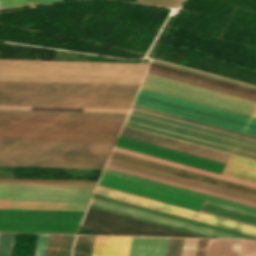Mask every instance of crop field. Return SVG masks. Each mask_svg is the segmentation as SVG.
<instances>
[{
  "instance_id": "obj_11",
  "label": "crop field",
  "mask_w": 256,
  "mask_h": 256,
  "mask_svg": "<svg viewBox=\"0 0 256 256\" xmlns=\"http://www.w3.org/2000/svg\"><path fill=\"white\" fill-rule=\"evenodd\" d=\"M110 158L256 197V189L244 185L228 182L225 180L209 177L206 175L190 172L187 170L171 167L114 151L112 152Z\"/></svg>"
},
{
  "instance_id": "obj_21",
  "label": "crop field",
  "mask_w": 256,
  "mask_h": 256,
  "mask_svg": "<svg viewBox=\"0 0 256 256\" xmlns=\"http://www.w3.org/2000/svg\"><path fill=\"white\" fill-rule=\"evenodd\" d=\"M132 107H133V108H137V109H141V110H145V111H149V112H152V113H156V114H160V115L168 116V117H171V118H175V119L183 120V121H186V122H190V123H194V124L202 125V126H205V127H209V128H213V129L221 130V131H224V132H228V133H232V134L240 135V136H243V137H247V138H251V139H255V140H256V137H252V136L244 135V134L237 133V132H233V131H230V130H226V129H222V128L214 127V126H211V125H207V124H203V123L195 122V121H192V120H188V119H184V118H180V117L172 116V115H169V114H165V113H161V112L153 111V110H150V109H146V108H142V107H138V106H134V105H133Z\"/></svg>"
},
{
  "instance_id": "obj_26",
  "label": "crop field",
  "mask_w": 256,
  "mask_h": 256,
  "mask_svg": "<svg viewBox=\"0 0 256 256\" xmlns=\"http://www.w3.org/2000/svg\"><path fill=\"white\" fill-rule=\"evenodd\" d=\"M208 239H199L196 256H204Z\"/></svg>"
},
{
  "instance_id": "obj_14",
  "label": "crop field",
  "mask_w": 256,
  "mask_h": 256,
  "mask_svg": "<svg viewBox=\"0 0 256 256\" xmlns=\"http://www.w3.org/2000/svg\"><path fill=\"white\" fill-rule=\"evenodd\" d=\"M108 164L256 203V198L251 197V196L239 194V193H236V192L224 190V189L209 186V185H205V184H202V183L190 181V180H187V179L175 177V176L160 173V172H157V171H153V170L141 168V167H138V166L126 164V163H123V162H119V161H115V160L110 159Z\"/></svg>"
},
{
  "instance_id": "obj_22",
  "label": "crop field",
  "mask_w": 256,
  "mask_h": 256,
  "mask_svg": "<svg viewBox=\"0 0 256 256\" xmlns=\"http://www.w3.org/2000/svg\"><path fill=\"white\" fill-rule=\"evenodd\" d=\"M238 256H256V241L241 240Z\"/></svg>"
},
{
  "instance_id": "obj_10",
  "label": "crop field",
  "mask_w": 256,
  "mask_h": 256,
  "mask_svg": "<svg viewBox=\"0 0 256 256\" xmlns=\"http://www.w3.org/2000/svg\"><path fill=\"white\" fill-rule=\"evenodd\" d=\"M95 193L256 236V228L244 224L228 221L225 219L209 216L206 214L190 211L187 209L171 206L99 186L97 187Z\"/></svg>"
},
{
  "instance_id": "obj_25",
  "label": "crop field",
  "mask_w": 256,
  "mask_h": 256,
  "mask_svg": "<svg viewBox=\"0 0 256 256\" xmlns=\"http://www.w3.org/2000/svg\"><path fill=\"white\" fill-rule=\"evenodd\" d=\"M181 2L183 0H180ZM179 0H137V2L147 3V4H154V5H161L167 7H176L179 8L180 6Z\"/></svg>"
},
{
  "instance_id": "obj_16",
  "label": "crop field",
  "mask_w": 256,
  "mask_h": 256,
  "mask_svg": "<svg viewBox=\"0 0 256 256\" xmlns=\"http://www.w3.org/2000/svg\"><path fill=\"white\" fill-rule=\"evenodd\" d=\"M113 150L256 188V183L249 182V181H246V180H242V179L222 175V174H219V173L203 170V169H200V168L188 166V165H185V164L169 161V160H166V159L150 156V155H147V154L135 152V151H132V150H128V149H124V148H120V147H116V146L114 147Z\"/></svg>"
},
{
  "instance_id": "obj_12",
  "label": "crop field",
  "mask_w": 256,
  "mask_h": 256,
  "mask_svg": "<svg viewBox=\"0 0 256 256\" xmlns=\"http://www.w3.org/2000/svg\"><path fill=\"white\" fill-rule=\"evenodd\" d=\"M95 236H77L72 256H91ZM131 237L96 236L92 256H127Z\"/></svg>"
},
{
  "instance_id": "obj_13",
  "label": "crop field",
  "mask_w": 256,
  "mask_h": 256,
  "mask_svg": "<svg viewBox=\"0 0 256 256\" xmlns=\"http://www.w3.org/2000/svg\"><path fill=\"white\" fill-rule=\"evenodd\" d=\"M104 173L256 213V208L255 207L240 204V203H236V202L221 199V198H217V197L206 195V194H202V193H199V192L183 189V188H180V187L164 184V183H161V182L145 179V178H142V177L126 174V173H123V172H119V171H115V170H111V169H107V168L105 169Z\"/></svg>"
},
{
  "instance_id": "obj_23",
  "label": "crop field",
  "mask_w": 256,
  "mask_h": 256,
  "mask_svg": "<svg viewBox=\"0 0 256 256\" xmlns=\"http://www.w3.org/2000/svg\"><path fill=\"white\" fill-rule=\"evenodd\" d=\"M62 235H50L46 256H57Z\"/></svg>"
},
{
  "instance_id": "obj_18",
  "label": "crop field",
  "mask_w": 256,
  "mask_h": 256,
  "mask_svg": "<svg viewBox=\"0 0 256 256\" xmlns=\"http://www.w3.org/2000/svg\"><path fill=\"white\" fill-rule=\"evenodd\" d=\"M184 239L170 238L166 256H180ZM198 239H185L181 256H195Z\"/></svg>"
},
{
  "instance_id": "obj_3",
  "label": "crop field",
  "mask_w": 256,
  "mask_h": 256,
  "mask_svg": "<svg viewBox=\"0 0 256 256\" xmlns=\"http://www.w3.org/2000/svg\"><path fill=\"white\" fill-rule=\"evenodd\" d=\"M120 135L224 163H226L229 157L228 154L212 151L209 149L197 147L194 145L178 142L175 140L159 137L156 135L144 133L141 131L125 127L123 128ZM121 136L119 137L116 146L197 166L219 173L221 172L224 166V163L208 160L205 158L193 156L190 154L174 151L171 149L155 146L152 144L140 142L137 140ZM222 173L256 182V162L230 155Z\"/></svg>"
},
{
  "instance_id": "obj_8",
  "label": "crop field",
  "mask_w": 256,
  "mask_h": 256,
  "mask_svg": "<svg viewBox=\"0 0 256 256\" xmlns=\"http://www.w3.org/2000/svg\"><path fill=\"white\" fill-rule=\"evenodd\" d=\"M84 212L0 210V220L80 222ZM0 221V232L75 234L80 223Z\"/></svg>"
},
{
  "instance_id": "obj_4",
  "label": "crop field",
  "mask_w": 256,
  "mask_h": 256,
  "mask_svg": "<svg viewBox=\"0 0 256 256\" xmlns=\"http://www.w3.org/2000/svg\"><path fill=\"white\" fill-rule=\"evenodd\" d=\"M124 126L256 161L255 140L133 108Z\"/></svg>"
},
{
  "instance_id": "obj_24",
  "label": "crop field",
  "mask_w": 256,
  "mask_h": 256,
  "mask_svg": "<svg viewBox=\"0 0 256 256\" xmlns=\"http://www.w3.org/2000/svg\"><path fill=\"white\" fill-rule=\"evenodd\" d=\"M49 235H38L34 256H44Z\"/></svg>"
},
{
  "instance_id": "obj_17",
  "label": "crop field",
  "mask_w": 256,
  "mask_h": 256,
  "mask_svg": "<svg viewBox=\"0 0 256 256\" xmlns=\"http://www.w3.org/2000/svg\"><path fill=\"white\" fill-rule=\"evenodd\" d=\"M221 240L209 239L205 256H218ZM240 240H222L219 256H237Z\"/></svg>"
},
{
  "instance_id": "obj_19",
  "label": "crop field",
  "mask_w": 256,
  "mask_h": 256,
  "mask_svg": "<svg viewBox=\"0 0 256 256\" xmlns=\"http://www.w3.org/2000/svg\"><path fill=\"white\" fill-rule=\"evenodd\" d=\"M107 168H111V169H115V170L123 171V172H126V173H130V174H134V175L142 176V177H145V178H149V179H153V180L161 181V182H164V183H168V184H172V185L180 186V187H183V188H187V189H191V190L199 191V192H202V193H206V194L214 195V196H217V197H221V198H225V199L233 200V201H236V202H240V203H244V204H248V205H252V206H255V207H256V204H254V203H250V202H246V201L238 200V199H235V198H231V197H227V196L219 195V194H216V193H212V192L204 191V190H201V189H197V188H193V187L185 186V185H182V184H178V183H174V182L166 181V180H163V179H159V178H155V177L147 176V175H144V174H140V173H136V172L128 171V170H125V169H121V168H117V167H113V166H109V165H107Z\"/></svg>"
},
{
  "instance_id": "obj_1",
  "label": "crop field",
  "mask_w": 256,
  "mask_h": 256,
  "mask_svg": "<svg viewBox=\"0 0 256 256\" xmlns=\"http://www.w3.org/2000/svg\"><path fill=\"white\" fill-rule=\"evenodd\" d=\"M139 86L0 82V99L131 104ZM0 104H117L1 101ZM0 105L128 111L129 108ZM0 108V139L114 142L127 112ZM0 140V153L108 156L114 143ZM0 154V165L103 168L108 157ZM110 155V154H109Z\"/></svg>"
},
{
  "instance_id": "obj_20",
  "label": "crop field",
  "mask_w": 256,
  "mask_h": 256,
  "mask_svg": "<svg viewBox=\"0 0 256 256\" xmlns=\"http://www.w3.org/2000/svg\"><path fill=\"white\" fill-rule=\"evenodd\" d=\"M16 234H1L0 256H11Z\"/></svg>"
},
{
  "instance_id": "obj_7",
  "label": "crop field",
  "mask_w": 256,
  "mask_h": 256,
  "mask_svg": "<svg viewBox=\"0 0 256 256\" xmlns=\"http://www.w3.org/2000/svg\"><path fill=\"white\" fill-rule=\"evenodd\" d=\"M103 175V174H102ZM99 186L147 197L150 199L194 209L200 210L205 200L189 197L186 195L166 191L163 189L147 186L144 184L124 180L121 178L103 175ZM201 212L209 213L212 215L220 216L223 218L231 219L234 221L242 222L245 224L256 226V214L231 208L228 206L212 203L206 201Z\"/></svg>"
},
{
  "instance_id": "obj_6",
  "label": "crop field",
  "mask_w": 256,
  "mask_h": 256,
  "mask_svg": "<svg viewBox=\"0 0 256 256\" xmlns=\"http://www.w3.org/2000/svg\"><path fill=\"white\" fill-rule=\"evenodd\" d=\"M90 208L163 226L201 237L221 238H254L256 237L236 231L220 228L142 206L126 203L108 197L94 195Z\"/></svg>"
},
{
  "instance_id": "obj_5",
  "label": "crop field",
  "mask_w": 256,
  "mask_h": 256,
  "mask_svg": "<svg viewBox=\"0 0 256 256\" xmlns=\"http://www.w3.org/2000/svg\"><path fill=\"white\" fill-rule=\"evenodd\" d=\"M95 185L0 181V209L85 211Z\"/></svg>"
},
{
  "instance_id": "obj_2",
  "label": "crop field",
  "mask_w": 256,
  "mask_h": 256,
  "mask_svg": "<svg viewBox=\"0 0 256 256\" xmlns=\"http://www.w3.org/2000/svg\"><path fill=\"white\" fill-rule=\"evenodd\" d=\"M147 72L256 101V91L254 90L242 88L164 66L151 63ZM141 88L153 90L250 117L256 108V103L253 102L148 74L146 75ZM141 88L133 103L134 105L256 136V119ZM252 117L256 118V110L254 111Z\"/></svg>"
},
{
  "instance_id": "obj_9",
  "label": "crop field",
  "mask_w": 256,
  "mask_h": 256,
  "mask_svg": "<svg viewBox=\"0 0 256 256\" xmlns=\"http://www.w3.org/2000/svg\"><path fill=\"white\" fill-rule=\"evenodd\" d=\"M80 226L111 235L197 237L90 208Z\"/></svg>"
},
{
  "instance_id": "obj_15",
  "label": "crop field",
  "mask_w": 256,
  "mask_h": 256,
  "mask_svg": "<svg viewBox=\"0 0 256 256\" xmlns=\"http://www.w3.org/2000/svg\"><path fill=\"white\" fill-rule=\"evenodd\" d=\"M169 238H132L128 256H165Z\"/></svg>"
}]
</instances>
